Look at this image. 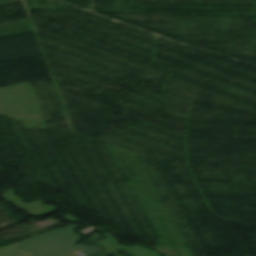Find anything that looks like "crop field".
I'll list each match as a JSON object with an SVG mask.
<instances>
[{
	"mask_svg": "<svg viewBox=\"0 0 256 256\" xmlns=\"http://www.w3.org/2000/svg\"><path fill=\"white\" fill-rule=\"evenodd\" d=\"M90 243H95L99 245H104L106 251L102 254V256H109L110 254H115L117 256H122L117 253L118 249H126L127 247H122L118 244H116V239L114 237L103 239L97 242H90Z\"/></svg>",
	"mask_w": 256,
	"mask_h": 256,
	"instance_id": "obj_3",
	"label": "crop field"
},
{
	"mask_svg": "<svg viewBox=\"0 0 256 256\" xmlns=\"http://www.w3.org/2000/svg\"><path fill=\"white\" fill-rule=\"evenodd\" d=\"M0 256H35V255L13 244L11 246L0 248Z\"/></svg>",
	"mask_w": 256,
	"mask_h": 256,
	"instance_id": "obj_4",
	"label": "crop field"
},
{
	"mask_svg": "<svg viewBox=\"0 0 256 256\" xmlns=\"http://www.w3.org/2000/svg\"><path fill=\"white\" fill-rule=\"evenodd\" d=\"M129 253L134 256H160L159 254L152 252L150 250L144 249L142 247L136 246L130 249H126Z\"/></svg>",
	"mask_w": 256,
	"mask_h": 256,
	"instance_id": "obj_5",
	"label": "crop field"
},
{
	"mask_svg": "<svg viewBox=\"0 0 256 256\" xmlns=\"http://www.w3.org/2000/svg\"><path fill=\"white\" fill-rule=\"evenodd\" d=\"M82 227L81 225L73 224L66 228L58 229L38 237L17 243L16 245L38 255V256H76L72 252L78 250L84 253V256H93L98 253L100 247L90 245H75L78 239L82 238L72 231ZM100 233H96L88 239H99ZM100 253V252H99Z\"/></svg>",
	"mask_w": 256,
	"mask_h": 256,
	"instance_id": "obj_1",
	"label": "crop field"
},
{
	"mask_svg": "<svg viewBox=\"0 0 256 256\" xmlns=\"http://www.w3.org/2000/svg\"><path fill=\"white\" fill-rule=\"evenodd\" d=\"M3 196L8 200H11L16 204L29 209L36 216H42L56 209L55 207L40 204L41 201L26 204L16 196L13 190L8 191L7 193L3 194Z\"/></svg>",
	"mask_w": 256,
	"mask_h": 256,
	"instance_id": "obj_2",
	"label": "crop field"
}]
</instances>
